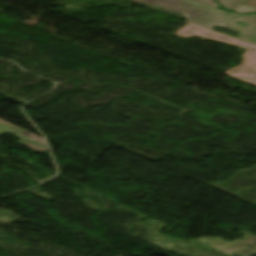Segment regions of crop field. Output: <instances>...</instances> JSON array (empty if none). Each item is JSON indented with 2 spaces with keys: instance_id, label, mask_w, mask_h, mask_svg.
<instances>
[{
  "instance_id": "obj_1",
  "label": "crop field",
  "mask_w": 256,
  "mask_h": 256,
  "mask_svg": "<svg viewBox=\"0 0 256 256\" xmlns=\"http://www.w3.org/2000/svg\"><path fill=\"white\" fill-rule=\"evenodd\" d=\"M156 4L177 12H181L187 21L211 29L214 26H223L238 34L247 42L256 44V15L238 16L233 13H225L219 9L200 4L191 0H139ZM227 16V18L225 17ZM243 21L251 26L242 28L235 25L237 21Z\"/></svg>"
},
{
  "instance_id": "obj_2",
  "label": "crop field",
  "mask_w": 256,
  "mask_h": 256,
  "mask_svg": "<svg viewBox=\"0 0 256 256\" xmlns=\"http://www.w3.org/2000/svg\"><path fill=\"white\" fill-rule=\"evenodd\" d=\"M175 34H178L184 37L197 35V36H201V37H205V38H209V39H213L221 42L239 45L241 47L248 49L243 54L244 61L242 62V64L238 67L230 69L224 74L246 81L251 84H253L256 81V45L247 43L245 41L227 36L225 34H222L213 30L200 27L192 23L182 27Z\"/></svg>"
},
{
  "instance_id": "obj_3",
  "label": "crop field",
  "mask_w": 256,
  "mask_h": 256,
  "mask_svg": "<svg viewBox=\"0 0 256 256\" xmlns=\"http://www.w3.org/2000/svg\"><path fill=\"white\" fill-rule=\"evenodd\" d=\"M222 6L229 10L235 9L241 3L245 2L246 0H217Z\"/></svg>"
},
{
  "instance_id": "obj_4",
  "label": "crop field",
  "mask_w": 256,
  "mask_h": 256,
  "mask_svg": "<svg viewBox=\"0 0 256 256\" xmlns=\"http://www.w3.org/2000/svg\"><path fill=\"white\" fill-rule=\"evenodd\" d=\"M234 12H237L239 14H244V13H253V12H256V10L242 5L239 8H237L236 10H234Z\"/></svg>"
},
{
  "instance_id": "obj_5",
  "label": "crop field",
  "mask_w": 256,
  "mask_h": 256,
  "mask_svg": "<svg viewBox=\"0 0 256 256\" xmlns=\"http://www.w3.org/2000/svg\"><path fill=\"white\" fill-rule=\"evenodd\" d=\"M194 1H197V2H200V3H204V4H207V5H210V6L218 8V5L215 3L214 0H194Z\"/></svg>"
},
{
  "instance_id": "obj_6",
  "label": "crop field",
  "mask_w": 256,
  "mask_h": 256,
  "mask_svg": "<svg viewBox=\"0 0 256 256\" xmlns=\"http://www.w3.org/2000/svg\"><path fill=\"white\" fill-rule=\"evenodd\" d=\"M255 85H256V83H255Z\"/></svg>"
}]
</instances>
